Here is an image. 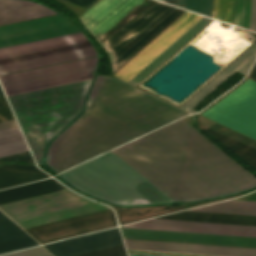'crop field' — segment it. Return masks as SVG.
Wrapping results in <instances>:
<instances>
[{"label":"crop field","mask_w":256,"mask_h":256,"mask_svg":"<svg viewBox=\"0 0 256 256\" xmlns=\"http://www.w3.org/2000/svg\"><path fill=\"white\" fill-rule=\"evenodd\" d=\"M214 0H186L185 8L212 17Z\"/></svg>","instance_id":"24"},{"label":"crop field","mask_w":256,"mask_h":256,"mask_svg":"<svg viewBox=\"0 0 256 256\" xmlns=\"http://www.w3.org/2000/svg\"><path fill=\"white\" fill-rule=\"evenodd\" d=\"M4 94L2 89H1V86H0V95Z\"/></svg>","instance_id":"35"},{"label":"crop field","mask_w":256,"mask_h":256,"mask_svg":"<svg viewBox=\"0 0 256 256\" xmlns=\"http://www.w3.org/2000/svg\"><path fill=\"white\" fill-rule=\"evenodd\" d=\"M164 1L167 2V3L173 4V5L176 6V1H177V0H164Z\"/></svg>","instance_id":"33"},{"label":"crop field","mask_w":256,"mask_h":256,"mask_svg":"<svg viewBox=\"0 0 256 256\" xmlns=\"http://www.w3.org/2000/svg\"><path fill=\"white\" fill-rule=\"evenodd\" d=\"M122 227L256 237V226L243 225L150 219L146 221L124 225Z\"/></svg>","instance_id":"11"},{"label":"crop field","mask_w":256,"mask_h":256,"mask_svg":"<svg viewBox=\"0 0 256 256\" xmlns=\"http://www.w3.org/2000/svg\"><path fill=\"white\" fill-rule=\"evenodd\" d=\"M202 115L256 139V82L246 81Z\"/></svg>","instance_id":"7"},{"label":"crop field","mask_w":256,"mask_h":256,"mask_svg":"<svg viewBox=\"0 0 256 256\" xmlns=\"http://www.w3.org/2000/svg\"><path fill=\"white\" fill-rule=\"evenodd\" d=\"M185 115L118 79L97 75L84 113L50 143L46 164L62 172Z\"/></svg>","instance_id":"2"},{"label":"crop field","mask_w":256,"mask_h":256,"mask_svg":"<svg viewBox=\"0 0 256 256\" xmlns=\"http://www.w3.org/2000/svg\"><path fill=\"white\" fill-rule=\"evenodd\" d=\"M247 78H250L254 81H256V62L251 70V72L248 74Z\"/></svg>","instance_id":"30"},{"label":"crop field","mask_w":256,"mask_h":256,"mask_svg":"<svg viewBox=\"0 0 256 256\" xmlns=\"http://www.w3.org/2000/svg\"><path fill=\"white\" fill-rule=\"evenodd\" d=\"M46 255H50V253L46 251L44 248L38 246V247H34V248H30V249H26V250L14 252V253L2 255V256H46Z\"/></svg>","instance_id":"26"},{"label":"crop field","mask_w":256,"mask_h":256,"mask_svg":"<svg viewBox=\"0 0 256 256\" xmlns=\"http://www.w3.org/2000/svg\"><path fill=\"white\" fill-rule=\"evenodd\" d=\"M129 256H160V255H147V254H134V253H128Z\"/></svg>","instance_id":"31"},{"label":"crop field","mask_w":256,"mask_h":256,"mask_svg":"<svg viewBox=\"0 0 256 256\" xmlns=\"http://www.w3.org/2000/svg\"><path fill=\"white\" fill-rule=\"evenodd\" d=\"M7 217L0 212V220L6 219Z\"/></svg>","instance_id":"34"},{"label":"crop field","mask_w":256,"mask_h":256,"mask_svg":"<svg viewBox=\"0 0 256 256\" xmlns=\"http://www.w3.org/2000/svg\"><path fill=\"white\" fill-rule=\"evenodd\" d=\"M1 163H4V162H0V164H1Z\"/></svg>","instance_id":"36"},{"label":"crop field","mask_w":256,"mask_h":256,"mask_svg":"<svg viewBox=\"0 0 256 256\" xmlns=\"http://www.w3.org/2000/svg\"><path fill=\"white\" fill-rule=\"evenodd\" d=\"M51 256H53V255H51Z\"/></svg>","instance_id":"37"},{"label":"crop field","mask_w":256,"mask_h":256,"mask_svg":"<svg viewBox=\"0 0 256 256\" xmlns=\"http://www.w3.org/2000/svg\"><path fill=\"white\" fill-rule=\"evenodd\" d=\"M187 211L256 216V202L228 200V201L207 205V206H203V207H199V208H195ZM189 212H180L172 215H167V216L159 217V219L256 225V217L189 213Z\"/></svg>","instance_id":"8"},{"label":"crop field","mask_w":256,"mask_h":256,"mask_svg":"<svg viewBox=\"0 0 256 256\" xmlns=\"http://www.w3.org/2000/svg\"><path fill=\"white\" fill-rule=\"evenodd\" d=\"M234 0H215L213 17L231 24ZM253 0H235L232 24L250 30ZM251 30L256 32V0Z\"/></svg>","instance_id":"16"},{"label":"crop field","mask_w":256,"mask_h":256,"mask_svg":"<svg viewBox=\"0 0 256 256\" xmlns=\"http://www.w3.org/2000/svg\"><path fill=\"white\" fill-rule=\"evenodd\" d=\"M23 228L104 208L68 189L0 205ZM117 225L110 208L50 222L25 230L40 243Z\"/></svg>","instance_id":"5"},{"label":"crop field","mask_w":256,"mask_h":256,"mask_svg":"<svg viewBox=\"0 0 256 256\" xmlns=\"http://www.w3.org/2000/svg\"><path fill=\"white\" fill-rule=\"evenodd\" d=\"M199 19H201V16L187 12L120 71H118L115 76L128 82L184 32L193 26Z\"/></svg>","instance_id":"9"},{"label":"crop field","mask_w":256,"mask_h":256,"mask_svg":"<svg viewBox=\"0 0 256 256\" xmlns=\"http://www.w3.org/2000/svg\"><path fill=\"white\" fill-rule=\"evenodd\" d=\"M256 58V42L243 52L237 59L228 65L222 72H220L214 79L205 85L199 92L190 98L181 108L194 113L197 112L193 108L215 90L220 84L231 77L235 72L247 74L251 65Z\"/></svg>","instance_id":"15"},{"label":"crop field","mask_w":256,"mask_h":256,"mask_svg":"<svg viewBox=\"0 0 256 256\" xmlns=\"http://www.w3.org/2000/svg\"><path fill=\"white\" fill-rule=\"evenodd\" d=\"M90 8L98 0H66ZM152 0H100L80 19L102 44ZM184 10L152 1L102 45L113 70L168 26Z\"/></svg>","instance_id":"3"},{"label":"crop field","mask_w":256,"mask_h":256,"mask_svg":"<svg viewBox=\"0 0 256 256\" xmlns=\"http://www.w3.org/2000/svg\"><path fill=\"white\" fill-rule=\"evenodd\" d=\"M61 189H65V187L58 183L56 180L50 178L0 191V204Z\"/></svg>","instance_id":"21"},{"label":"crop field","mask_w":256,"mask_h":256,"mask_svg":"<svg viewBox=\"0 0 256 256\" xmlns=\"http://www.w3.org/2000/svg\"><path fill=\"white\" fill-rule=\"evenodd\" d=\"M122 239L117 227L44 245L55 256H73L117 244Z\"/></svg>","instance_id":"13"},{"label":"crop field","mask_w":256,"mask_h":256,"mask_svg":"<svg viewBox=\"0 0 256 256\" xmlns=\"http://www.w3.org/2000/svg\"><path fill=\"white\" fill-rule=\"evenodd\" d=\"M185 0H178L177 1V6L183 7L184 8Z\"/></svg>","instance_id":"32"},{"label":"crop field","mask_w":256,"mask_h":256,"mask_svg":"<svg viewBox=\"0 0 256 256\" xmlns=\"http://www.w3.org/2000/svg\"><path fill=\"white\" fill-rule=\"evenodd\" d=\"M16 125H18V124H17L16 120L13 119V120L1 122V123H0V129H4V128L16 126Z\"/></svg>","instance_id":"29"},{"label":"crop field","mask_w":256,"mask_h":256,"mask_svg":"<svg viewBox=\"0 0 256 256\" xmlns=\"http://www.w3.org/2000/svg\"><path fill=\"white\" fill-rule=\"evenodd\" d=\"M235 196H238V195H235ZM231 197H234V196H231ZM227 198H230V197H227ZM219 200H222V199H219ZM214 201H218V200L190 203V204H185L178 207H172V206L135 207V208H123V207H117V206H113V207L116 210L119 224H126V223H130V222H134V221L214 202Z\"/></svg>","instance_id":"18"},{"label":"crop field","mask_w":256,"mask_h":256,"mask_svg":"<svg viewBox=\"0 0 256 256\" xmlns=\"http://www.w3.org/2000/svg\"><path fill=\"white\" fill-rule=\"evenodd\" d=\"M173 201L228 195L256 186V177L184 118L110 151ZM109 152L61 173L72 186L118 205L170 200Z\"/></svg>","instance_id":"1"},{"label":"crop field","mask_w":256,"mask_h":256,"mask_svg":"<svg viewBox=\"0 0 256 256\" xmlns=\"http://www.w3.org/2000/svg\"><path fill=\"white\" fill-rule=\"evenodd\" d=\"M127 249L221 256H256V249L124 239Z\"/></svg>","instance_id":"12"},{"label":"crop field","mask_w":256,"mask_h":256,"mask_svg":"<svg viewBox=\"0 0 256 256\" xmlns=\"http://www.w3.org/2000/svg\"><path fill=\"white\" fill-rule=\"evenodd\" d=\"M0 159L4 160V161H7V162L23 161V162L35 163L29 151L19 153V154H15V155H11V156H7V157H3V158H0Z\"/></svg>","instance_id":"28"},{"label":"crop field","mask_w":256,"mask_h":256,"mask_svg":"<svg viewBox=\"0 0 256 256\" xmlns=\"http://www.w3.org/2000/svg\"><path fill=\"white\" fill-rule=\"evenodd\" d=\"M123 237L130 239L172 241L185 243L213 244L226 246L254 247L256 248L255 237L198 234L142 229L121 228Z\"/></svg>","instance_id":"10"},{"label":"crop field","mask_w":256,"mask_h":256,"mask_svg":"<svg viewBox=\"0 0 256 256\" xmlns=\"http://www.w3.org/2000/svg\"><path fill=\"white\" fill-rule=\"evenodd\" d=\"M39 244L11 220L0 221V254Z\"/></svg>","instance_id":"22"},{"label":"crop field","mask_w":256,"mask_h":256,"mask_svg":"<svg viewBox=\"0 0 256 256\" xmlns=\"http://www.w3.org/2000/svg\"><path fill=\"white\" fill-rule=\"evenodd\" d=\"M56 14V12L25 0H0V24Z\"/></svg>","instance_id":"17"},{"label":"crop field","mask_w":256,"mask_h":256,"mask_svg":"<svg viewBox=\"0 0 256 256\" xmlns=\"http://www.w3.org/2000/svg\"><path fill=\"white\" fill-rule=\"evenodd\" d=\"M15 118L4 95L0 96V122Z\"/></svg>","instance_id":"27"},{"label":"crop field","mask_w":256,"mask_h":256,"mask_svg":"<svg viewBox=\"0 0 256 256\" xmlns=\"http://www.w3.org/2000/svg\"><path fill=\"white\" fill-rule=\"evenodd\" d=\"M78 256H127L124 245H118Z\"/></svg>","instance_id":"25"},{"label":"crop field","mask_w":256,"mask_h":256,"mask_svg":"<svg viewBox=\"0 0 256 256\" xmlns=\"http://www.w3.org/2000/svg\"><path fill=\"white\" fill-rule=\"evenodd\" d=\"M212 19L203 17L193 27H191L185 34L176 40L170 47L161 53L155 60H153L147 67L138 73L129 83L138 85L147 76H149L155 69L164 63L170 56H172L178 49H180L186 42L195 36L201 29H203Z\"/></svg>","instance_id":"19"},{"label":"crop field","mask_w":256,"mask_h":256,"mask_svg":"<svg viewBox=\"0 0 256 256\" xmlns=\"http://www.w3.org/2000/svg\"><path fill=\"white\" fill-rule=\"evenodd\" d=\"M199 127L208 131L256 169V141L199 115Z\"/></svg>","instance_id":"14"},{"label":"crop field","mask_w":256,"mask_h":256,"mask_svg":"<svg viewBox=\"0 0 256 256\" xmlns=\"http://www.w3.org/2000/svg\"><path fill=\"white\" fill-rule=\"evenodd\" d=\"M97 59L98 57L0 76V82L9 96L90 80L94 76Z\"/></svg>","instance_id":"6"},{"label":"crop field","mask_w":256,"mask_h":256,"mask_svg":"<svg viewBox=\"0 0 256 256\" xmlns=\"http://www.w3.org/2000/svg\"><path fill=\"white\" fill-rule=\"evenodd\" d=\"M57 15L0 26V47L79 32ZM98 55L82 32L0 48V75Z\"/></svg>","instance_id":"4"},{"label":"crop field","mask_w":256,"mask_h":256,"mask_svg":"<svg viewBox=\"0 0 256 256\" xmlns=\"http://www.w3.org/2000/svg\"><path fill=\"white\" fill-rule=\"evenodd\" d=\"M50 177L37 166L7 164L0 166V189Z\"/></svg>","instance_id":"20"},{"label":"crop field","mask_w":256,"mask_h":256,"mask_svg":"<svg viewBox=\"0 0 256 256\" xmlns=\"http://www.w3.org/2000/svg\"><path fill=\"white\" fill-rule=\"evenodd\" d=\"M163 1V0H162Z\"/></svg>","instance_id":"38"},{"label":"crop field","mask_w":256,"mask_h":256,"mask_svg":"<svg viewBox=\"0 0 256 256\" xmlns=\"http://www.w3.org/2000/svg\"><path fill=\"white\" fill-rule=\"evenodd\" d=\"M29 150L18 126L0 130V157Z\"/></svg>","instance_id":"23"}]
</instances>
